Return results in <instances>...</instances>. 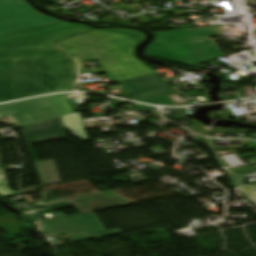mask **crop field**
<instances>
[{
  "label": "crop field",
  "mask_w": 256,
  "mask_h": 256,
  "mask_svg": "<svg viewBox=\"0 0 256 256\" xmlns=\"http://www.w3.org/2000/svg\"><path fill=\"white\" fill-rule=\"evenodd\" d=\"M21 132L29 144L66 138L59 117L24 127Z\"/></svg>",
  "instance_id": "obj_6"
},
{
  "label": "crop field",
  "mask_w": 256,
  "mask_h": 256,
  "mask_svg": "<svg viewBox=\"0 0 256 256\" xmlns=\"http://www.w3.org/2000/svg\"><path fill=\"white\" fill-rule=\"evenodd\" d=\"M154 34L156 39L147 46L145 52L149 57L193 66L225 56L210 38L216 36L212 28L160 31Z\"/></svg>",
  "instance_id": "obj_2"
},
{
  "label": "crop field",
  "mask_w": 256,
  "mask_h": 256,
  "mask_svg": "<svg viewBox=\"0 0 256 256\" xmlns=\"http://www.w3.org/2000/svg\"><path fill=\"white\" fill-rule=\"evenodd\" d=\"M3 166L2 164V159H1V155H0V167Z\"/></svg>",
  "instance_id": "obj_18"
},
{
  "label": "crop field",
  "mask_w": 256,
  "mask_h": 256,
  "mask_svg": "<svg viewBox=\"0 0 256 256\" xmlns=\"http://www.w3.org/2000/svg\"><path fill=\"white\" fill-rule=\"evenodd\" d=\"M110 105L113 106L115 109H117V106L124 104V103H128L126 101H122V100H117V99H113L110 102Z\"/></svg>",
  "instance_id": "obj_15"
},
{
  "label": "crop field",
  "mask_w": 256,
  "mask_h": 256,
  "mask_svg": "<svg viewBox=\"0 0 256 256\" xmlns=\"http://www.w3.org/2000/svg\"><path fill=\"white\" fill-rule=\"evenodd\" d=\"M77 217H81V219L58 222ZM41 222L44 232L57 235L64 234L74 242L122 233L119 229L107 230L93 212Z\"/></svg>",
  "instance_id": "obj_4"
},
{
  "label": "crop field",
  "mask_w": 256,
  "mask_h": 256,
  "mask_svg": "<svg viewBox=\"0 0 256 256\" xmlns=\"http://www.w3.org/2000/svg\"><path fill=\"white\" fill-rule=\"evenodd\" d=\"M64 22L0 36V102L17 99L13 60L17 59L19 99L58 91H73V63L100 60L102 68L79 69L78 74L106 73L112 83L156 73L134 58L133 49L145 39L129 29L94 30ZM63 39V40H60ZM71 58L22 61V59Z\"/></svg>",
  "instance_id": "obj_1"
},
{
  "label": "crop field",
  "mask_w": 256,
  "mask_h": 256,
  "mask_svg": "<svg viewBox=\"0 0 256 256\" xmlns=\"http://www.w3.org/2000/svg\"><path fill=\"white\" fill-rule=\"evenodd\" d=\"M56 21L33 10L25 0H0V35Z\"/></svg>",
  "instance_id": "obj_5"
},
{
  "label": "crop field",
  "mask_w": 256,
  "mask_h": 256,
  "mask_svg": "<svg viewBox=\"0 0 256 256\" xmlns=\"http://www.w3.org/2000/svg\"><path fill=\"white\" fill-rule=\"evenodd\" d=\"M139 102H145V103H150V104H154V105H171L170 102L165 98L164 95L146 99V100H142Z\"/></svg>",
  "instance_id": "obj_12"
},
{
  "label": "crop field",
  "mask_w": 256,
  "mask_h": 256,
  "mask_svg": "<svg viewBox=\"0 0 256 256\" xmlns=\"http://www.w3.org/2000/svg\"><path fill=\"white\" fill-rule=\"evenodd\" d=\"M93 117H98V116H104L103 114H99V113H91Z\"/></svg>",
  "instance_id": "obj_17"
},
{
  "label": "crop field",
  "mask_w": 256,
  "mask_h": 256,
  "mask_svg": "<svg viewBox=\"0 0 256 256\" xmlns=\"http://www.w3.org/2000/svg\"><path fill=\"white\" fill-rule=\"evenodd\" d=\"M240 190L256 206V184L242 187Z\"/></svg>",
  "instance_id": "obj_11"
},
{
  "label": "crop field",
  "mask_w": 256,
  "mask_h": 256,
  "mask_svg": "<svg viewBox=\"0 0 256 256\" xmlns=\"http://www.w3.org/2000/svg\"><path fill=\"white\" fill-rule=\"evenodd\" d=\"M0 178V185L7 184L3 167L0 168Z\"/></svg>",
  "instance_id": "obj_16"
},
{
  "label": "crop field",
  "mask_w": 256,
  "mask_h": 256,
  "mask_svg": "<svg viewBox=\"0 0 256 256\" xmlns=\"http://www.w3.org/2000/svg\"><path fill=\"white\" fill-rule=\"evenodd\" d=\"M175 90H168V91H164V92H160V93H155V94H151V95H146V96H142V97H138V98H133V99H129V100H133V101H137V100H141V99H145V98H149V97H153V96H157V95H161V94H166V93H170V92H174Z\"/></svg>",
  "instance_id": "obj_14"
},
{
  "label": "crop field",
  "mask_w": 256,
  "mask_h": 256,
  "mask_svg": "<svg viewBox=\"0 0 256 256\" xmlns=\"http://www.w3.org/2000/svg\"><path fill=\"white\" fill-rule=\"evenodd\" d=\"M157 75L153 74L123 80L122 82L127 87L132 97L171 87Z\"/></svg>",
  "instance_id": "obj_7"
},
{
  "label": "crop field",
  "mask_w": 256,
  "mask_h": 256,
  "mask_svg": "<svg viewBox=\"0 0 256 256\" xmlns=\"http://www.w3.org/2000/svg\"><path fill=\"white\" fill-rule=\"evenodd\" d=\"M0 229L9 232L21 229L19 220L11 213L0 216Z\"/></svg>",
  "instance_id": "obj_10"
},
{
  "label": "crop field",
  "mask_w": 256,
  "mask_h": 256,
  "mask_svg": "<svg viewBox=\"0 0 256 256\" xmlns=\"http://www.w3.org/2000/svg\"><path fill=\"white\" fill-rule=\"evenodd\" d=\"M73 112L63 95L0 106V117L10 116L18 127Z\"/></svg>",
  "instance_id": "obj_3"
},
{
  "label": "crop field",
  "mask_w": 256,
  "mask_h": 256,
  "mask_svg": "<svg viewBox=\"0 0 256 256\" xmlns=\"http://www.w3.org/2000/svg\"><path fill=\"white\" fill-rule=\"evenodd\" d=\"M61 119L64 123L66 129L71 130L72 135L86 141L88 136L84 128L82 114L80 113H70L64 116H61Z\"/></svg>",
  "instance_id": "obj_9"
},
{
  "label": "crop field",
  "mask_w": 256,
  "mask_h": 256,
  "mask_svg": "<svg viewBox=\"0 0 256 256\" xmlns=\"http://www.w3.org/2000/svg\"><path fill=\"white\" fill-rule=\"evenodd\" d=\"M34 164L42 186L62 183L53 160Z\"/></svg>",
  "instance_id": "obj_8"
},
{
  "label": "crop field",
  "mask_w": 256,
  "mask_h": 256,
  "mask_svg": "<svg viewBox=\"0 0 256 256\" xmlns=\"http://www.w3.org/2000/svg\"><path fill=\"white\" fill-rule=\"evenodd\" d=\"M16 194H19L18 192H12L8 189V186L5 185V186H0V196L2 197H9V196H12V195H16Z\"/></svg>",
  "instance_id": "obj_13"
}]
</instances>
